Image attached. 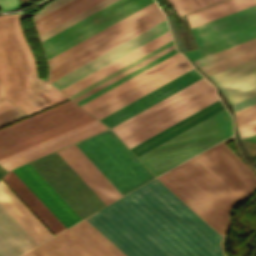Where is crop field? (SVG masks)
Segmentation results:
<instances>
[{
  "mask_svg": "<svg viewBox=\"0 0 256 256\" xmlns=\"http://www.w3.org/2000/svg\"><path fill=\"white\" fill-rule=\"evenodd\" d=\"M13 171L66 228L81 220L29 163ZM13 171L10 170L3 178L10 187L55 235L66 229Z\"/></svg>",
  "mask_w": 256,
  "mask_h": 256,
  "instance_id": "5a996713",
  "label": "crop field"
},
{
  "mask_svg": "<svg viewBox=\"0 0 256 256\" xmlns=\"http://www.w3.org/2000/svg\"><path fill=\"white\" fill-rule=\"evenodd\" d=\"M191 68L185 58L88 112L100 119Z\"/></svg>",
  "mask_w": 256,
  "mask_h": 256,
  "instance_id": "733c2abd",
  "label": "crop field"
},
{
  "mask_svg": "<svg viewBox=\"0 0 256 256\" xmlns=\"http://www.w3.org/2000/svg\"><path fill=\"white\" fill-rule=\"evenodd\" d=\"M171 44H173V41H170V42H168V43L162 45L161 47H159V48L153 50L152 52H150V53H148V54L142 56L141 58H139V59H137V60L131 62L130 64H128V65L122 67L121 69H119V70H117V71L111 73L110 75H108V76H106V77L100 79L99 81H97V82H95V83L89 85L88 87H86V88L80 90L79 92H77V93H75V94H73V95H71V96H69V97H71V98L73 99V98H75V97L81 95L82 93H84V92L90 90L91 88H93V87L99 85L100 83H102V82L108 80L109 78H111V77L117 75L118 73H120V72H122V71L128 69L129 67H131V66L137 64L138 62H140V61L146 59L147 57H149V56L155 54L156 52H158V51L164 49L165 47H167V46H169V45H171Z\"/></svg>",
  "mask_w": 256,
  "mask_h": 256,
  "instance_id": "1d83c4d3",
  "label": "crop field"
},
{
  "mask_svg": "<svg viewBox=\"0 0 256 256\" xmlns=\"http://www.w3.org/2000/svg\"><path fill=\"white\" fill-rule=\"evenodd\" d=\"M199 49L186 52L193 60L256 37V5L191 29Z\"/></svg>",
  "mask_w": 256,
  "mask_h": 256,
  "instance_id": "3316defc",
  "label": "crop field"
},
{
  "mask_svg": "<svg viewBox=\"0 0 256 256\" xmlns=\"http://www.w3.org/2000/svg\"><path fill=\"white\" fill-rule=\"evenodd\" d=\"M96 120L71 100L0 130V159Z\"/></svg>",
  "mask_w": 256,
  "mask_h": 256,
  "instance_id": "dd49c442",
  "label": "crop field"
},
{
  "mask_svg": "<svg viewBox=\"0 0 256 256\" xmlns=\"http://www.w3.org/2000/svg\"><path fill=\"white\" fill-rule=\"evenodd\" d=\"M102 0H81L80 2L72 5L71 7L63 10L62 12L54 15L53 17L45 20L44 22L36 25L39 31V34H42L49 29L57 26L58 24L66 21L67 19L75 16L76 14L84 11L85 9L95 5L96 3Z\"/></svg>",
  "mask_w": 256,
  "mask_h": 256,
  "instance_id": "eef30255",
  "label": "crop field"
},
{
  "mask_svg": "<svg viewBox=\"0 0 256 256\" xmlns=\"http://www.w3.org/2000/svg\"><path fill=\"white\" fill-rule=\"evenodd\" d=\"M2 176V174L0 173V177Z\"/></svg>",
  "mask_w": 256,
  "mask_h": 256,
  "instance_id": "5d738f31",
  "label": "crop field"
},
{
  "mask_svg": "<svg viewBox=\"0 0 256 256\" xmlns=\"http://www.w3.org/2000/svg\"><path fill=\"white\" fill-rule=\"evenodd\" d=\"M76 145L122 195L153 178L111 130Z\"/></svg>",
  "mask_w": 256,
  "mask_h": 256,
  "instance_id": "d8731c3e",
  "label": "crop field"
},
{
  "mask_svg": "<svg viewBox=\"0 0 256 256\" xmlns=\"http://www.w3.org/2000/svg\"><path fill=\"white\" fill-rule=\"evenodd\" d=\"M231 104L256 95V58L208 75Z\"/></svg>",
  "mask_w": 256,
  "mask_h": 256,
  "instance_id": "d9b57169",
  "label": "crop field"
},
{
  "mask_svg": "<svg viewBox=\"0 0 256 256\" xmlns=\"http://www.w3.org/2000/svg\"><path fill=\"white\" fill-rule=\"evenodd\" d=\"M255 103H256V96H254L252 98H249V99H246L244 101L238 102L236 104H233V107H234V110L236 111V110H239L241 108L250 106V105L255 104Z\"/></svg>",
  "mask_w": 256,
  "mask_h": 256,
  "instance_id": "c035e120",
  "label": "crop field"
},
{
  "mask_svg": "<svg viewBox=\"0 0 256 256\" xmlns=\"http://www.w3.org/2000/svg\"><path fill=\"white\" fill-rule=\"evenodd\" d=\"M154 2L153 0H118L52 37L42 41L47 58L71 47L107 26Z\"/></svg>",
  "mask_w": 256,
  "mask_h": 256,
  "instance_id": "d1516ede",
  "label": "crop field"
},
{
  "mask_svg": "<svg viewBox=\"0 0 256 256\" xmlns=\"http://www.w3.org/2000/svg\"><path fill=\"white\" fill-rule=\"evenodd\" d=\"M201 78L193 68L100 120L111 128Z\"/></svg>",
  "mask_w": 256,
  "mask_h": 256,
  "instance_id": "5142ce71",
  "label": "crop field"
},
{
  "mask_svg": "<svg viewBox=\"0 0 256 256\" xmlns=\"http://www.w3.org/2000/svg\"><path fill=\"white\" fill-rule=\"evenodd\" d=\"M106 128H107V127H105L104 125L100 124V125H98V126H95V127L91 128V129H88V130H86V131H83V132H81V133H79V134H76V135H74V136H71V137H69V138H67V139H64V140H62V141H59V142H57V143H55V144H52V145H50V146H47V147H45V148H43V149H40V150H38V151H35V152L31 153V154H28V155H26V156H23V157H21V158H19V159H16V160H14V161H11V162H9V163H7V164H4V165H2V166H3L6 170H10V169H12V168H14V167H17V166H19V165H21V164H24V163H26V162H29V161H31V160H33V159H36V158H38V157H40V156H43V155H45V154H47V153H50V152L54 151V150H57V149H59V148H62V147H64V146H66V145H69V144H71V143H73V142H76V141H78V140H80V139H83V138H85V137H87V136H90V135H92V134H95V133H97V132H99V131H102V130H104V129H106Z\"/></svg>",
  "mask_w": 256,
  "mask_h": 256,
  "instance_id": "730fd06b",
  "label": "crop field"
},
{
  "mask_svg": "<svg viewBox=\"0 0 256 256\" xmlns=\"http://www.w3.org/2000/svg\"><path fill=\"white\" fill-rule=\"evenodd\" d=\"M256 57V38L193 61L206 75Z\"/></svg>",
  "mask_w": 256,
  "mask_h": 256,
  "instance_id": "214f88e0",
  "label": "crop field"
},
{
  "mask_svg": "<svg viewBox=\"0 0 256 256\" xmlns=\"http://www.w3.org/2000/svg\"><path fill=\"white\" fill-rule=\"evenodd\" d=\"M166 31L163 20L50 83L60 90Z\"/></svg>",
  "mask_w": 256,
  "mask_h": 256,
  "instance_id": "cbeb9de0",
  "label": "crop field"
},
{
  "mask_svg": "<svg viewBox=\"0 0 256 256\" xmlns=\"http://www.w3.org/2000/svg\"><path fill=\"white\" fill-rule=\"evenodd\" d=\"M203 78L111 128L130 148L219 100Z\"/></svg>",
  "mask_w": 256,
  "mask_h": 256,
  "instance_id": "412701ff",
  "label": "crop field"
},
{
  "mask_svg": "<svg viewBox=\"0 0 256 256\" xmlns=\"http://www.w3.org/2000/svg\"><path fill=\"white\" fill-rule=\"evenodd\" d=\"M98 124H100V122H99L98 120H96V121L91 122V123H89V124H87V125H84V126H82V127H79V128H77V129H75V130H72V131H70V132H67V133H65V134H63V135H60V136H58V137H55V138H53V139H51V140H48V141H46V142H43V143H41V144H39V145H36V146H34V147H31V148H29V149H27V150H24V151H22V152H19V153L15 154V155H12V156H10V157H7V158H5V159H3V160H0V165H2V164H4V163H7V162H9V161H11V160H14V159H16V158H19V157H21V156H23V155H26V154H28V153H31V152H33V151H35V150L40 149V148H43V147H45V146H47V145H50V144H52V143H55V142H57V141H59V140H62V139H64V138H67V137H69V136H71V135H74V134H76V133H79V132H81V131H83V130H86V129H88V128H91V127H93V126H95V125H98Z\"/></svg>",
  "mask_w": 256,
  "mask_h": 256,
  "instance_id": "d3111659",
  "label": "crop field"
},
{
  "mask_svg": "<svg viewBox=\"0 0 256 256\" xmlns=\"http://www.w3.org/2000/svg\"><path fill=\"white\" fill-rule=\"evenodd\" d=\"M183 58L177 53L81 106L88 111Z\"/></svg>",
  "mask_w": 256,
  "mask_h": 256,
  "instance_id": "a9b5d70f",
  "label": "crop field"
},
{
  "mask_svg": "<svg viewBox=\"0 0 256 256\" xmlns=\"http://www.w3.org/2000/svg\"><path fill=\"white\" fill-rule=\"evenodd\" d=\"M221 236L256 176L222 142L157 178Z\"/></svg>",
  "mask_w": 256,
  "mask_h": 256,
  "instance_id": "ac0d7876",
  "label": "crop field"
},
{
  "mask_svg": "<svg viewBox=\"0 0 256 256\" xmlns=\"http://www.w3.org/2000/svg\"><path fill=\"white\" fill-rule=\"evenodd\" d=\"M57 153L107 205L122 196L75 144Z\"/></svg>",
  "mask_w": 256,
  "mask_h": 256,
  "instance_id": "4a817a6b",
  "label": "crop field"
},
{
  "mask_svg": "<svg viewBox=\"0 0 256 256\" xmlns=\"http://www.w3.org/2000/svg\"><path fill=\"white\" fill-rule=\"evenodd\" d=\"M165 19L154 3L48 59L49 82Z\"/></svg>",
  "mask_w": 256,
  "mask_h": 256,
  "instance_id": "f4fd0767",
  "label": "crop field"
},
{
  "mask_svg": "<svg viewBox=\"0 0 256 256\" xmlns=\"http://www.w3.org/2000/svg\"><path fill=\"white\" fill-rule=\"evenodd\" d=\"M243 140H248V141L256 142V135L250 136V137L245 138ZM243 140H241V141L245 145V147L248 150V152L250 153L251 157L256 156V143H252V142H248V141H243Z\"/></svg>",
  "mask_w": 256,
  "mask_h": 256,
  "instance_id": "e1f06a70",
  "label": "crop field"
},
{
  "mask_svg": "<svg viewBox=\"0 0 256 256\" xmlns=\"http://www.w3.org/2000/svg\"><path fill=\"white\" fill-rule=\"evenodd\" d=\"M232 134L225 109L138 158L157 176Z\"/></svg>",
  "mask_w": 256,
  "mask_h": 256,
  "instance_id": "e52e79f7",
  "label": "crop field"
},
{
  "mask_svg": "<svg viewBox=\"0 0 256 256\" xmlns=\"http://www.w3.org/2000/svg\"><path fill=\"white\" fill-rule=\"evenodd\" d=\"M0 80L7 99L26 114L67 98L37 78L33 55L16 16L0 17Z\"/></svg>",
  "mask_w": 256,
  "mask_h": 256,
  "instance_id": "34b2d1b8",
  "label": "crop field"
},
{
  "mask_svg": "<svg viewBox=\"0 0 256 256\" xmlns=\"http://www.w3.org/2000/svg\"><path fill=\"white\" fill-rule=\"evenodd\" d=\"M173 48H175L174 44L171 45V46H169V47H167V48H165L164 50H162V51L156 53L155 55H153V56L147 58L146 60H144V61L138 63L137 65H135V66L129 68L128 70H126V71H124V72L118 74L117 76H115V77L109 79L108 81H106V82L100 84L99 86H97V87L91 89L90 91H88V92L82 94L81 96H79V97H77V98H75V99H73V100L76 102V101H78V100L84 98L85 96H87V95H89V94L95 92L96 90H98V89L104 87L105 85H107V84H109V83L115 81L116 79H118V78L124 76L125 74H127V73H129V72L135 70L136 68H138V67L144 65L145 63H147V62H149V61L155 59L156 57H158V56L164 54L165 52H167V51H169V50H171V49H173Z\"/></svg>",
  "mask_w": 256,
  "mask_h": 256,
  "instance_id": "120bbe31",
  "label": "crop field"
},
{
  "mask_svg": "<svg viewBox=\"0 0 256 256\" xmlns=\"http://www.w3.org/2000/svg\"><path fill=\"white\" fill-rule=\"evenodd\" d=\"M179 16L223 0H168Z\"/></svg>",
  "mask_w": 256,
  "mask_h": 256,
  "instance_id": "750c4746",
  "label": "crop field"
},
{
  "mask_svg": "<svg viewBox=\"0 0 256 256\" xmlns=\"http://www.w3.org/2000/svg\"><path fill=\"white\" fill-rule=\"evenodd\" d=\"M30 164L81 219L106 206L56 152Z\"/></svg>",
  "mask_w": 256,
  "mask_h": 256,
  "instance_id": "28ad6ade",
  "label": "crop field"
},
{
  "mask_svg": "<svg viewBox=\"0 0 256 256\" xmlns=\"http://www.w3.org/2000/svg\"><path fill=\"white\" fill-rule=\"evenodd\" d=\"M170 40L166 32L60 91L69 96Z\"/></svg>",
  "mask_w": 256,
  "mask_h": 256,
  "instance_id": "92a150f3",
  "label": "crop field"
},
{
  "mask_svg": "<svg viewBox=\"0 0 256 256\" xmlns=\"http://www.w3.org/2000/svg\"><path fill=\"white\" fill-rule=\"evenodd\" d=\"M18 0H0V11L16 8Z\"/></svg>",
  "mask_w": 256,
  "mask_h": 256,
  "instance_id": "b80d0937",
  "label": "crop field"
},
{
  "mask_svg": "<svg viewBox=\"0 0 256 256\" xmlns=\"http://www.w3.org/2000/svg\"><path fill=\"white\" fill-rule=\"evenodd\" d=\"M237 129L241 139L253 135L256 133V120L238 126Z\"/></svg>",
  "mask_w": 256,
  "mask_h": 256,
  "instance_id": "5866460e",
  "label": "crop field"
},
{
  "mask_svg": "<svg viewBox=\"0 0 256 256\" xmlns=\"http://www.w3.org/2000/svg\"><path fill=\"white\" fill-rule=\"evenodd\" d=\"M23 256H124L82 221Z\"/></svg>",
  "mask_w": 256,
  "mask_h": 256,
  "instance_id": "22f410ed",
  "label": "crop field"
},
{
  "mask_svg": "<svg viewBox=\"0 0 256 256\" xmlns=\"http://www.w3.org/2000/svg\"><path fill=\"white\" fill-rule=\"evenodd\" d=\"M113 1H115V0H104V1H102V2H100V3H98V4H96L95 6H93V7L89 8V9L85 10L84 12H82V13L76 15L75 17H73V18L67 20L66 22H64V23H62V24H60V25H58L57 27H55V28L49 30L48 32H46V33L40 35L41 40H44V39H46V38L52 36L53 34H55V33L59 32V31H61L62 29H64V28H66V27L72 25L73 23H75V22L81 20L82 18H84V17H86V16L92 14L93 12H95V11H97V10L103 8L104 6H106V5L110 4V3H112Z\"/></svg>",
  "mask_w": 256,
  "mask_h": 256,
  "instance_id": "bd1437ed",
  "label": "crop field"
},
{
  "mask_svg": "<svg viewBox=\"0 0 256 256\" xmlns=\"http://www.w3.org/2000/svg\"><path fill=\"white\" fill-rule=\"evenodd\" d=\"M255 4L256 0H228L210 8L188 14L187 17L192 28Z\"/></svg>",
  "mask_w": 256,
  "mask_h": 256,
  "instance_id": "4177f3b9",
  "label": "crop field"
},
{
  "mask_svg": "<svg viewBox=\"0 0 256 256\" xmlns=\"http://www.w3.org/2000/svg\"><path fill=\"white\" fill-rule=\"evenodd\" d=\"M24 117H26V115H24L20 110L14 107L3 113H0V127Z\"/></svg>",
  "mask_w": 256,
  "mask_h": 256,
  "instance_id": "d32e631a",
  "label": "crop field"
},
{
  "mask_svg": "<svg viewBox=\"0 0 256 256\" xmlns=\"http://www.w3.org/2000/svg\"><path fill=\"white\" fill-rule=\"evenodd\" d=\"M12 107H14L12 104H10L7 101H3V102L0 103V112L5 111L7 109H10Z\"/></svg>",
  "mask_w": 256,
  "mask_h": 256,
  "instance_id": "c21b1889",
  "label": "crop field"
},
{
  "mask_svg": "<svg viewBox=\"0 0 256 256\" xmlns=\"http://www.w3.org/2000/svg\"><path fill=\"white\" fill-rule=\"evenodd\" d=\"M38 245L0 205V256H18Z\"/></svg>",
  "mask_w": 256,
  "mask_h": 256,
  "instance_id": "bc2a9ffb",
  "label": "crop field"
},
{
  "mask_svg": "<svg viewBox=\"0 0 256 256\" xmlns=\"http://www.w3.org/2000/svg\"><path fill=\"white\" fill-rule=\"evenodd\" d=\"M0 203L38 244L53 237L1 180Z\"/></svg>",
  "mask_w": 256,
  "mask_h": 256,
  "instance_id": "dafd665d",
  "label": "crop field"
},
{
  "mask_svg": "<svg viewBox=\"0 0 256 256\" xmlns=\"http://www.w3.org/2000/svg\"><path fill=\"white\" fill-rule=\"evenodd\" d=\"M86 220L127 256H222L220 236L157 179Z\"/></svg>",
  "mask_w": 256,
  "mask_h": 256,
  "instance_id": "8a807250",
  "label": "crop field"
},
{
  "mask_svg": "<svg viewBox=\"0 0 256 256\" xmlns=\"http://www.w3.org/2000/svg\"><path fill=\"white\" fill-rule=\"evenodd\" d=\"M223 109L219 100L130 149L138 157Z\"/></svg>",
  "mask_w": 256,
  "mask_h": 256,
  "instance_id": "00972430",
  "label": "crop field"
},
{
  "mask_svg": "<svg viewBox=\"0 0 256 256\" xmlns=\"http://www.w3.org/2000/svg\"><path fill=\"white\" fill-rule=\"evenodd\" d=\"M70 0H57L55 2H53L52 4H50L49 6H47L45 9H43L41 12H39L37 15L34 16V20L45 15L46 13L56 9L57 7L67 3Z\"/></svg>",
  "mask_w": 256,
  "mask_h": 256,
  "instance_id": "028f5c9d",
  "label": "crop field"
},
{
  "mask_svg": "<svg viewBox=\"0 0 256 256\" xmlns=\"http://www.w3.org/2000/svg\"><path fill=\"white\" fill-rule=\"evenodd\" d=\"M28 1V0H21V2Z\"/></svg>",
  "mask_w": 256,
  "mask_h": 256,
  "instance_id": "b54c1fbb",
  "label": "crop field"
},
{
  "mask_svg": "<svg viewBox=\"0 0 256 256\" xmlns=\"http://www.w3.org/2000/svg\"><path fill=\"white\" fill-rule=\"evenodd\" d=\"M5 98H6V97H5L3 88H2L1 83H0V100L5 99Z\"/></svg>",
  "mask_w": 256,
  "mask_h": 256,
  "instance_id": "03da06ac",
  "label": "crop field"
},
{
  "mask_svg": "<svg viewBox=\"0 0 256 256\" xmlns=\"http://www.w3.org/2000/svg\"><path fill=\"white\" fill-rule=\"evenodd\" d=\"M175 53H177L176 48L173 49V50H171V51H169V52H167L166 54H164V55H162V56L156 58L155 60H153V61L147 63L146 65H144V66H142V67L136 69L135 71H133V72L127 74L126 76H124V77H122V78L116 80L115 82H113V83L107 85L106 87H104V88H102V89L96 91L95 93H93V94L87 96L86 98H84V99H82V100H80V101H78V102H76V103H78V104L81 105V104H83V103H85V102L91 100L92 98H94V97H96V96L102 94L103 92H105V91H107V90L113 88L114 86H116V85H118V84L124 82L125 80H127V79L133 77L134 75H136V74H138V73L144 71L145 69H147V68H149V67L155 65L156 63H158V62H160V61L166 59L167 57H169V56H171V55H173V54H175Z\"/></svg>",
  "mask_w": 256,
  "mask_h": 256,
  "instance_id": "ae1a2a85",
  "label": "crop field"
},
{
  "mask_svg": "<svg viewBox=\"0 0 256 256\" xmlns=\"http://www.w3.org/2000/svg\"><path fill=\"white\" fill-rule=\"evenodd\" d=\"M78 1H80V0H72V1L68 2L67 4H65V5H63V6L59 7V8H57L56 10H54V11H52V12L46 14L45 16H43V17H41V18L35 20V23L38 24V23L44 21L45 19H47V18L53 16L54 14H56V13L62 11L63 9H65V8H67V7H69V6H71L72 4H74V3L78 2Z\"/></svg>",
  "mask_w": 256,
  "mask_h": 256,
  "instance_id": "0bd39190",
  "label": "crop field"
}]
</instances>
